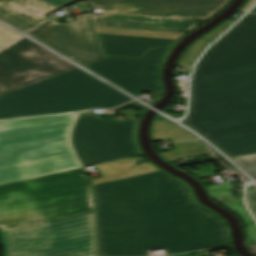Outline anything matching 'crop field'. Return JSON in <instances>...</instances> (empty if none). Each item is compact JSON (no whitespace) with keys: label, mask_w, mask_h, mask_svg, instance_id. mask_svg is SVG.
<instances>
[{"label":"crop field","mask_w":256,"mask_h":256,"mask_svg":"<svg viewBox=\"0 0 256 256\" xmlns=\"http://www.w3.org/2000/svg\"><path fill=\"white\" fill-rule=\"evenodd\" d=\"M65 5L64 0H0V19L28 33L48 20L43 14Z\"/></svg>","instance_id":"obj_11"},{"label":"crop field","mask_w":256,"mask_h":256,"mask_svg":"<svg viewBox=\"0 0 256 256\" xmlns=\"http://www.w3.org/2000/svg\"><path fill=\"white\" fill-rule=\"evenodd\" d=\"M76 68L23 38L0 52V95Z\"/></svg>","instance_id":"obj_8"},{"label":"crop field","mask_w":256,"mask_h":256,"mask_svg":"<svg viewBox=\"0 0 256 256\" xmlns=\"http://www.w3.org/2000/svg\"><path fill=\"white\" fill-rule=\"evenodd\" d=\"M209 190L211 189H223V188H232L231 184H224V185H212L208 186Z\"/></svg>","instance_id":"obj_23"},{"label":"crop field","mask_w":256,"mask_h":256,"mask_svg":"<svg viewBox=\"0 0 256 256\" xmlns=\"http://www.w3.org/2000/svg\"><path fill=\"white\" fill-rule=\"evenodd\" d=\"M171 256H189L188 253H184V254H177V255H171Z\"/></svg>","instance_id":"obj_25"},{"label":"crop field","mask_w":256,"mask_h":256,"mask_svg":"<svg viewBox=\"0 0 256 256\" xmlns=\"http://www.w3.org/2000/svg\"><path fill=\"white\" fill-rule=\"evenodd\" d=\"M158 170L159 169H157L152 164L147 163V164L140 165L136 168H131V169L125 171L123 174L113 175V176H109L107 178H102V179H95L94 180V185L98 184V183H103V182H108V181H112V180L127 178V177H131V176H136V175H140V174H145V173H149V172L158 171Z\"/></svg>","instance_id":"obj_16"},{"label":"crop field","mask_w":256,"mask_h":256,"mask_svg":"<svg viewBox=\"0 0 256 256\" xmlns=\"http://www.w3.org/2000/svg\"><path fill=\"white\" fill-rule=\"evenodd\" d=\"M248 205L256 217V191L247 192Z\"/></svg>","instance_id":"obj_22"},{"label":"crop field","mask_w":256,"mask_h":256,"mask_svg":"<svg viewBox=\"0 0 256 256\" xmlns=\"http://www.w3.org/2000/svg\"><path fill=\"white\" fill-rule=\"evenodd\" d=\"M211 41L206 39H199L195 43H193L185 52L183 58L180 60L178 65H193L196 57L200 54V52L208 45Z\"/></svg>","instance_id":"obj_17"},{"label":"crop field","mask_w":256,"mask_h":256,"mask_svg":"<svg viewBox=\"0 0 256 256\" xmlns=\"http://www.w3.org/2000/svg\"><path fill=\"white\" fill-rule=\"evenodd\" d=\"M168 49L150 50L141 59L107 57L87 68L136 96L142 91H162L158 69Z\"/></svg>","instance_id":"obj_9"},{"label":"crop field","mask_w":256,"mask_h":256,"mask_svg":"<svg viewBox=\"0 0 256 256\" xmlns=\"http://www.w3.org/2000/svg\"><path fill=\"white\" fill-rule=\"evenodd\" d=\"M252 190H256V188L248 189L247 191H252Z\"/></svg>","instance_id":"obj_27"},{"label":"crop field","mask_w":256,"mask_h":256,"mask_svg":"<svg viewBox=\"0 0 256 256\" xmlns=\"http://www.w3.org/2000/svg\"><path fill=\"white\" fill-rule=\"evenodd\" d=\"M76 115L0 121V185L80 168L69 145Z\"/></svg>","instance_id":"obj_5"},{"label":"crop field","mask_w":256,"mask_h":256,"mask_svg":"<svg viewBox=\"0 0 256 256\" xmlns=\"http://www.w3.org/2000/svg\"><path fill=\"white\" fill-rule=\"evenodd\" d=\"M133 165H135V163H133L132 161H121V162H113V163H108L103 165H97L96 167L98 168L101 176L104 177L112 174L122 173L127 168Z\"/></svg>","instance_id":"obj_18"},{"label":"crop field","mask_w":256,"mask_h":256,"mask_svg":"<svg viewBox=\"0 0 256 256\" xmlns=\"http://www.w3.org/2000/svg\"><path fill=\"white\" fill-rule=\"evenodd\" d=\"M255 2H256V0H249L247 5L240 11L246 12Z\"/></svg>","instance_id":"obj_24"},{"label":"crop field","mask_w":256,"mask_h":256,"mask_svg":"<svg viewBox=\"0 0 256 256\" xmlns=\"http://www.w3.org/2000/svg\"><path fill=\"white\" fill-rule=\"evenodd\" d=\"M132 98L76 68L0 96V119L113 108Z\"/></svg>","instance_id":"obj_6"},{"label":"crop field","mask_w":256,"mask_h":256,"mask_svg":"<svg viewBox=\"0 0 256 256\" xmlns=\"http://www.w3.org/2000/svg\"><path fill=\"white\" fill-rule=\"evenodd\" d=\"M233 212L237 213L243 220L246 229L247 243L256 242V224L249 216L242 200L221 203Z\"/></svg>","instance_id":"obj_15"},{"label":"crop field","mask_w":256,"mask_h":256,"mask_svg":"<svg viewBox=\"0 0 256 256\" xmlns=\"http://www.w3.org/2000/svg\"><path fill=\"white\" fill-rule=\"evenodd\" d=\"M65 1H66L67 4H69V3H71V2H73L75 0H65Z\"/></svg>","instance_id":"obj_26"},{"label":"crop field","mask_w":256,"mask_h":256,"mask_svg":"<svg viewBox=\"0 0 256 256\" xmlns=\"http://www.w3.org/2000/svg\"><path fill=\"white\" fill-rule=\"evenodd\" d=\"M136 121L79 116L72 145L84 166L139 155L134 137Z\"/></svg>","instance_id":"obj_7"},{"label":"crop field","mask_w":256,"mask_h":256,"mask_svg":"<svg viewBox=\"0 0 256 256\" xmlns=\"http://www.w3.org/2000/svg\"><path fill=\"white\" fill-rule=\"evenodd\" d=\"M99 256H145L223 246L222 221L190 198L180 181L158 171L95 185Z\"/></svg>","instance_id":"obj_1"},{"label":"crop field","mask_w":256,"mask_h":256,"mask_svg":"<svg viewBox=\"0 0 256 256\" xmlns=\"http://www.w3.org/2000/svg\"><path fill=\"white\" fill-rule=\"evenodd\" d=\"M21 38V35L0 24V47L9 45Z\"/></svg>","instance_id":"obj_20"},{"label":"crop field","mask_w":256,"mask_h":256,"mask_svg":"<svg viewBox=\"0 0 256 256\" xmlns=\"http://www.w3.org/2000/svg\"><path fill=\"white\" fill-rule=\"evenodd\" d=\"M190 132L178 127L170 121H155L153 126V141L170 139L178 141L195 138Z\"/></svg>","instance_id":"obj_13"},{"label":"crop field","mask_w":256,"mask_h":256,"mask_svg":"<svg viewBox=\"0 0 256 256\" xmlns=\"http://www.w3.org/2000/svg\"><path fill=\"white\" fill-rule=\"evenodd\" d=\"M191 98L185 125L229 157L256 153V15H246L207 50Z\"/></svg>","instance_id":"obj_2"},{"label":"crop field","mask_w":256,"mask_h":256,"mask_svg":"<svg viewBox=\"0 0 256 256\" xmlns=\"http://www.w3.org/2000/svg\"><path fill=\"white\" fill-rule=\"evenodd\" d=\"M252 176H256V154L231 158Z\"/></svg>","instance_id":"obj_19"},{"label":"crop field","mask_w":256,"mask_h":256,"mask_svg":"<svg viewBox=\"0 0 256 256\" xmlns=\"http://www.w3.org/2000/svg\"><path fill=\"white\" fill-rule=\"evenodd\" d=\"M236 20L230 19L215 30L211 31L207 35L203 36V38H206L208 40L213 41L215 38H217L223 31H225L232 23H234Z\"/></svg>","instance_id":"obj_21"},{"label":"crop field","mask_w":256,"mask_h":256,"mask_svg":"<svg viewBox=\"0 0 256 256\" xmlns=\"http://www.w3.org/2000/svg\"><path fill=\"white\" fill-rule=\"evenodd\" d=\"M4 256H96L91 186L0 205Z\"/></svg>","instance_id":"obj_4"},{"label":"crop field","mask_w":256,"mask_h":256,"mask_svg":"<svg viewBox=\"0 0 256 256\" xmlns=\"http://www.w3.org/2000/svg\"><path fill=\"white\" fill-rule=\"evenodd\" d=\"M173 145L175 150L161 153L168 160L209 153L204 146L195 141L176 143Z\"/></svg>","instance_id":"obj_14"},{"label":"crop field","mask_w":256,"mask_h":256,"mask_svg":"<svg viewBox=\"0 0 256 256\" xmlns=\"http://www.w3.org/2000/svg\"><path fill=\"white\" fill-rule=\"evenodd\" d=\"M104 55L141 57L148 49L171 46L176 40L97 33Z\"/></svg>","instance_id":"obj_12"},{"label":"crop field","mask_w":256,"mask_h":256,"mask_svg":"<svg viewBox=\"0 0 256 256\" xmlns=\"http://www.w3.org/2000/svg\"><path fill=\"white\" fill-rule=\"evenodd\" d=\"M83 168L0 186V204L91 185Z\"/></svg>","instance_id":"obj_10"},{"label":"crop field","mask_w":256,"mask_h":256,"mask_svg":"<svg viewBox=\"0 0 256 256\" xmlns=\"http://www.w3.org/2000/svg\"><path fill=\"white\" fill-rule=\"evenodd\" d=\"M104 15H82L77 22L53 20L31 36L84 65L104 58L96 32L177 39L206 21L229 0H87ZM186 20V21H182Z\"/></svg>","instance_id":"obj_3"},{"label":"crop field","mask_w":256,"mask_h":256,"mask_svg":"<svg viewBox=\"0 0 256 256\" xmlns=\"http://www.w3.org/2000/svg\"><path fill=\"white\" fill-rule=\"evenodd\" d=\"M251 12H254V13H256V7L251 11Z\"/></svg>","instance_id":"obj_28"}]
</instances>
